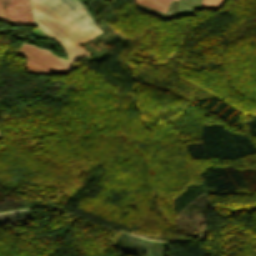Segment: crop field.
Wrapping results in <instances>:
<instances>
[{
    "label": "crop field",
    "instance_id": "34b2d1b8",
    "mask_svg": "<svg viewBox=\"0 0 256 256\" xmlns=\"http://www.w3.org/2000/svg\"><path fill=\"white\" fill-rule=\"evenodd\" d=\"M2 4L7 23L33 24L29 0H2Z\"/></svg>",
    "mask_w": 256,
    "mask_h": 256
},
{
    "label": "crop field",
    "instance_id": "ac0d7876",
    "mask_svg": "<svg viewBox=\"0 0 256 256\" xmlns=\"http://www.w3.org/2000/svg\"><path fill=\"white\" fill-rule=\"evenodd\" d=\"M18 53L28 58L25 65L28 73L50 75L51 73H68L70 71L68 61L34 45L22 43Z\"/></svg>",
    "mask_w": 256,
    "mask_h": 256
},
{
    "label": "crop field",
    "instance_id": "412701ff",
    "mask_svg": "<svg viewBox=\"0 0 256 256\" xmlns=\"http://www.w3.org/2000/svg\"><path fill=\"white\" fill-rule=\"evenodd\" d=\"M137 3L146 5L161 12H165L170 0H135Z\"/></svg>",
    "mask_w": 256,
    "mask_h": 256
},
{
    "label": "crop field",
    "instance_id": "e52e79f7",
    "mask_svg": "<svg viewBox=\"0 0 256 256\" xmlns=\"http://www.w3.org/2000/svg\"><path fill=\"white\" fill-rule=\"evenodd\" d=\"M0 137H2L1 134H0Z\"/></svg>",
    "mask_w": 256,
    "mask_h": 256
},
{
    "label": "crop field",
    "instance_id": "8a807250",
    "mask_svg": "<svg viewBox=\"0 0 256 256\" xmlns=\"http://www.w3.org/2000/svg\"><path fill=\"white\" fill-rule=\"evenodd\" d=\"M36 25L56 39L70 63L89 53L80 44L103 33L80 0H31Z\"/></svg>",
    "mask_w": 256,
    "mask_h": 256
},
{
    "label": "crop field",
    "instance_id": "dd49c442",
    "mask_svg": "<svg viewBox=\"0 0 256 256\" xmlns=\"http://www.w3.org/2000/svg\"><path fill=\"white\" fill-rule=\"evenodd\" d=\"M0 20L5 22L1 0H0Z\"/></svg>",
    "mask_w": 256,
    "mask_h": 256
},
{
    "label": "crop field",
    "instance_id": "d8731c3e",
    "mask_svg": "<svg viewBox=\"0 0 256 256\" xmlns=\"http://www.w3.org/2000/svg\"><path fill=\"white\" fill-rule=\"evenodd\" d=\"M178 1V0H177Z\"/></svg>",
    "mask_w": 256,
    "mask_h": 256
},
{
    "label": "crop field",
    "instance_id": "f4fd0767",
    "mask_svg": "<svg viewBox=\"0 0 256 256\" xmlns=\"http://www.w3.org/2000/svg\"><path fill=\"white\" fill-rule=\"evenodd\" d=\"M225 0H203L201 8L219 9Z\"/></svg>",
    "mask_w": 256,
    "mask_h": 256
}]
</instances>
